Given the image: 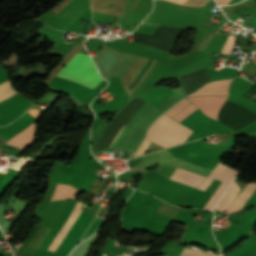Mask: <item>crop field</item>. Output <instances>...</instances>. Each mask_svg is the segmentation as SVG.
I'll return each instance as SVG.
<instances>
[{
    "label": "crop field",
    "mask_w": 256,
    "mask_h": 256,
    "mask_svg": "<svg viewBox=\"0 0 256 256\" xmlns=\"http://www.w3.org/2000/svg\"><path fill=\"white\" fill-rule=\"evenodd\" d=\"M181 98H183V96L176 94L159 110L153 108L147 103L130 121L115 144V147L135 152L145 136L146 130L152 124V122Z\"/></svg>",
    "instance_id": "crop-field-1"
},
{
    "label": "crop field",
    "mask_w": 256,
    "mask_h": 256,
    "mask_svg": "<svg viewBox=\"0 0 256 256\" xmlns=\"http://www.w3.org/2000/svg\"><path fill=\"white\" fill-rule=\"evenodd\" d=\"M57 76L68 78L93 89L102 79L90 57L81 53L71 58L57 73Z\"/></svg>",
    "instance_id": "crop-field-2"
},
{
    "label": "crop field",
    "mask_w": 256,
    "mask_h": 256,
    "mask_svg": "<svg viewBox=\"0 0 256 256\" xmlns=\"http://www.w3.org/2000/svg\"><path fill=\"white\" fill-rule=\"evenodd\" d=\"M192 131L162 115L148 130V135L145 138L166 148L184 142Z\"/></svg>",
    "instance_id": "crop-field-3"
},
{
    "label": "crop field",
    "mask_w": 256,
    "mask_h": 256,
    "mask_svg": "<svg viewBox=\"0 0 256 256\" xmlns=\"http://www.w3.org/2000/svg\"><path fill=\"white\" fill-rule=\"evenodd\" d=\"M237 174L238 173L235 170L219 163L216 168L209 174V176L230 184ZM209 176H207V179L204 181V183L202 182L203 184L201 183L202 185L199 187V189L204 191L208 187L210 182L213 180V178ZM223 182H221L218 189L206 203V205L204 206L205 209L211 210L215 206L219 198L222 196V194L225 192V190L228 188L229 185Z\"/></svg>",
    "instance_id": "crop-field-4"
},
{
    "label": "crop field",
    "mask_w": 256,
    "mask_h": 256,
    "mask_svg": "<svg viewBox=\"0 0 256 256\" xmlns=\"http://www.w3.org/2000/svg\"><path fill=\"white\" fill-rule=\"evenodd\" d=\"M227 96H203L187 98L196 105L204 114L217 120V113Z\"/></svg>",
    "instance_id": "crop-field-5"
},
{
    "label": "crop field",
    "mask_w": 256,
    "mask_h": 256,
    "mask_svg": "<svg viewBox=\"0 0 256 256\" xmlns=\"http://www.w3.org/2000/svg\"><path fill=\"white\" fill-rule=\"evenodd\" d=\"M204 178L205 176L181 168H176L170 177V180L197 188Z\"/></svg>",
    "instance_id": "crop-field-6"
},
{
    "label": "crop field",
    "mask_w": 256,
    "mask_h": 256,
    "mask_svg": "<svg viewBox=\"0 0 256 256\" xmlns=\"http://www.w3.org/2000/svg\"><path fill=\"white\" fill-rule=\"evenodd\" d=\"M34 132H35V125L33 124L28 128H26L21 133H19L14 138L10 139L7 143L14 145L23 150L32 140Z\"/></svg>",
    "instance_id": "crop-field-7"
},
{
    "label": "crop field",
    "mask_w": 256,
    "mask_h": 256,
    "mask_svg": "<svg viewBox=\"0 0 256 256\" xmlns=\"http://www.w3.org/2000/svg\"><path fill=\"white\" fill-rule=\"evenodd\" d=\"M83 202H77L75 208L73 209L70 217L68 218L66 224L63 226V228L61 229V231L58 233V235L56 236V238L54 239V241L52 242V244L50 245V247L48 248V250L53 251L56 249V247L58 246V244L60 243L61 239L63 238V236L65 235V233L67 232V230L69 229V227L71 226V224L73 223L74 219L76 218V216L78 215V213L80 212V208L82 206Z\"/></svg>",
    "instance_id": "crop-field-8"
},
{
    "label": "crop field",
    "mask_w": 256,
    "mask_h": 256,
    "mask_svg": "<svg viewBox=\"0 0 256 256\" xmlns=\"http://www.w3.org/2000/svg\"><path fill=\"white\" fill-rule=\"evenodd\" d=\"M255 189H256V183H248L246 187L242 190L240 195L237 197V199L234 201V203L231 205V207L228 209L227 212L231 213L241 208L244 205V203L249 199V197L251 196V194L254 192Z\"/></svg>",
    "instance_id": "crop-field-9"
},
{
    "label": "crop field",
    "mask_w": 256,
    "mask_h": 256,
    "mask_svg": "<svg viewBox=\"0 0 256 256\" xmlns=\"http://www.w3.org/2000/svg\"><path fill=\"white\" fill-rule=\"evenodd\" d=\"M239 189H240L239 186L234 180L233 183L226 190V192L224 193V195L222 196L218 204L215 206V209H218L220 211H223L224 209L227 210L229 204L232 202L235 195L238 193Z\"/></svg>",
    "instance_id": "crop-field-10"
},
{
    "label": "crop field",
    "mask_w": 256,
    "mask_h": 256,
    "mask_svg": "<svg viewBox=\"0 0 256 256\" xmlns=\"http://www.w3.org/2000/svg\"><path fill=\"white\" fill-rule=\"evenodd\" d=\"M48 231L49 228L39 225L33 236L30 238V240L24 247V250L35 253V251L37 250L38 246L40 245Z\"/></svg>",
    "instance_id": "crop-field-11"
},
{
    "label": "crop field",
    "mask_w": 256,
    "mask_h": 256,
    "mask_svg": "<svg viewBox=\"0 0 256 256\" xmlns=\"http://www.w3.org/2000/svg\"><path fill=\"white\" fill-rule=\"evenodd\" d=\"M77 193H78V190H76L70 185L58 184L51 201L58 200V199H68V198L74 199Z\"/></svg>",
    "instance_id": "crop-field-12"
},
{
    "label": "crop field",
    "mask_w": 256,
    "mask_h": 256,
    "mask_svg": "<svg viewBox=\"0 0 256 256\" xmlns=\"http://www.w3.org/2000/svg\"><path fill=\"white\" fill-rule=\"evenodd\" d=\"M228 86H204L192 95V96H201V95H227Z\"/></svg>",
    "instance_id": "crop-field-13"
},
{
    "label": "crop field",
    "mask_w": 256,
    "mask_h": 256,
    "mask_svg": "<svg viewBox=\"0 0 256 256\" xmlns=\"http://www.w3.org/2000/svg\"><path fill=\"white\" fill-rule=\"evenodd\" d=\"M17 94L11 87L9 81L0 85V101Z\"/></svg>",
    "instance_id": "crop-field-14"
},
{
    "label": "crop field",
    "mask_w": 256,
    "mask_h": 256,
    "mask_svg": "<svg viewBox=\"0 0 256 256\" xmlns=\"http://www.w3.org/2000/svg\"><path fill=\"white\" fill-rule=\"evenodd\" d=\"M188 104H190V102L185 98L183 99L181 102H179L177 105H175L174 107H172L170 110H168L166 113V115H168L169 117H173L175 116L179 111H181L184 107H186Z\"/></svg>",
    "instance_id": "crop-field-15"
},
{
    "label": "crop field",
    "mask_w": 256,
    "mask_h": 256,
    "mask_svg": "<svg viewBox=\"0 0 256 256\" xmlns=\"http://www.w3.org/2000/svg\"><path fill=\"white\" fill-rule=\"evenodd\" d=\"M196 109L198 108L191 103L185 109H183L180 113H178L175 117H173V119L180 122L184 118H186L188 115H190L192 112H194Z\"/></svg>",
    "instance_id": "crop-field-16"
},
{
    "label": "crop field",
    "mask_w": 256,
    "mask_h": 256,
    "mask_svg": "<svg viewBox=\"0 0 256 256\" xmlns=\"http://www.w3.org/2000/svg\"><path fill=\"white\" fill-rule=\"evenodd\" d=\"M235 39H236V35H229L221 53L230 54L234 46Z\"/></svg>",
    "instance_id": "crop-field-17"
},
{
    "label": "crop field",
    "mask_w": 256,
    "mask_h": 256,
    "mask_svg": "<svg viewBox=\"0 0 256 256\" xmlns=\"http://www.w3.org/2000/svg\"><path fill=\"white\" fill-rule=\"evenodd\" d=\"M180 256H218V255L206 254V253L184 248Z\"/></svg>",
    "instance_id": "crop-field-18"
},
{
    "label": "crop field",
    "mask_w": 256,
    "mask_h": 256,
    "mask_svg": "<svg viewBox=\"0 0 256 256\" xmlns=\"http://www.w3.org/2000/svg\"><path fill=\"white\" fill-rule=\"evenodd\" d=\"M210 0H188L186 6L204 7L205 4Z\"/></svg>",
    "instance_id": "crop-field-19"
},
{
    "label": "crop field",
    "mask_w": 256,
    "mask_h": 256,
    "mask_svg": "<svg viewBox=\"0 0 256 256\" xmlns=\"http://www.w3.org/2000/svg\"><path fill=\"white\" fill-rule=\"evenodd\" d=\"M150 144V141H147L144 139V141L142 142V144L140 145L139 149L137 150V152L135 153L134 157L143 155V153L145 152L146 148L148 147V145Z\"/></svg>",
    "instance_id": "crop-field-20"
},
{
    "label": "crop field",
    "mask_w": 256,
    "mask_h": 256,
    "mask_svg": "<svg viewBox=\"0 0 256 256\" xmlns=\"http://www.w3.org/2000/svg\"><path fill=\"white\" fill-rule=\"evenodd\" d=\"M167 1L183 5L187 0H167Z\"/></svg>",
    "instance_id": "crop-field-21"
},
{
    "label": "crop field",
    "mask_w": 256,
    "mask_h": 256,
    "mask_svg": "<svg viewBox=\"0 0 256 256\" xmlns=\"http://www.w3.org/2000/svg\"><path fill=\"white\" fill-rule=\"evenodd\" d=\"M215 1L218 3V5H224V4H228L230 0H215Z\"/></svg>",
    "instance_id": "crop-field-22"
},
{
    "label": "crop field",
    "mask_w": 256,
    "mask_h": 256,
    "mask_svg": "<svg viewBox=\"0 0 256 256\" xmlns=\"http://www.w3.org/2000/svg\"><path fill=\"white\" fill-rule=\"evenodd\" d=\"M15 255L16 256H29V255H27V254H25L23 252H19V251H17Z\"/></svg>",
    "instance_id": "crop-field-23"
},
{
    "label": "crop field",
    "mask_w": 256,
    "mask_h": 256,
    "mask_svg": "<svg viewBox=\"0 0 256 256\" xmlns=\"http://www.w3.org/2000/svg\"><path fill=\"white\" fill-rule=\"evenodd\" d=\"M123 129H124V127H123ZM123 129H122V130H123ZM122 130L120 131V133L122 132ZM120 133L118 134V136L120 135ZM118 136L115 138V140H114L113 143L110 145V147L113 146V144H114L115 141L117 140Z\"/></svg>",
    "instance_id": "crop-field-24"
}]
</instances>
